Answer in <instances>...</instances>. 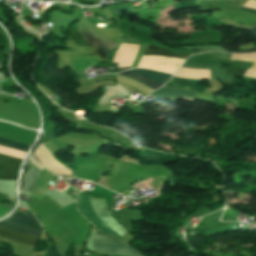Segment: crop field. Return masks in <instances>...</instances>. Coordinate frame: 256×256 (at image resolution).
Returning a JSON list of instances; mask_svg holds the SVG:
<instances>
[{"mask_svg":"<svg viewBox=\"0 0 256 256\" xmlns=\"http://www.w3.org/2000/svg\"><path fill=\"white\" fill-rule=\"evenodd\" d=\"M6 226L21 230L23 232L41 236L43 233L42 227L37 219L32 215L31 212L25 214L14 211L11 217L0 222ZM0 224V236L21 244L36 246L39 237H35L21 231L6 227Z\"/></svg>","mask_w":256,"mask_h":256,"instance_id":"8a807250","label":"crop field"},{"mask_svg":"<svg viewBox=\"0 0 256 256\" xmlns=\"http://www.w3.org/2000/svg\"><path fill=\"white\" fill-rule=\"evenodd\" d=\"M77 191V190H76ZM89 203L98 216V218L113 232L123 237L127 232L122 226H120L115 220L111 218L109 215L105 200L104 199H94L89 197ZM88 203V196L77 191V208L78 211L84 215L95 227H97L100 231L113 235L118 240L121 238L115 233H113L109 228H107L94 214L91 210Z\"/></svg>","mask_w":256,"mask_h":256,"instance_id":"ac0d7876","label":"crop field"},{"mask_svg":"<svg viewBox=\"0 0 256 256\" xmlns=\"http://www.w3.org/2000/svg\"><path fill=\"white\" fill-rule=\"evenodd\" d=\"M93 249L96 252L122 256H141L132 248L117 242L111 237L96 232L93 240Z\"/></svg>","mask_w":256,"mask_h":256,"instance_id":"34b2d1b8","label":"crop field"},{"mask_svg":"<svg viewBox=\"0 0 256 256\" xmlns=\"http://www.w3.org/2000/svg\"><path fill=\"white\" fill-rule=\"evenodd\" d=\"M0 144L24 153L28 148L27 145L11 142L2 138H0ZM20 164L21 161L0 154V179L15 180L16 170Z\"/></svg>","mask_w":256,"mask_h":256,"instance_id":"412701ff","label":"crop field"},{"mask_svg":"<svg viewBox=\"0 0 256 256\" xmlns=\"http://www.w3.org/2000/svg\"><path fill=\"white\" fill-rule=\"evenodd\" d=\"M131 72L137 73L139 75H142L146 78H149L161 85H163L166 81L169 80V78L171 77V75L168 74H162V73H157V72H151L148 70H139V69H133V70H129ZM131 72H124V73H120V75L129 77L131 79L137 80L139 82H142L144 84H146L147 86L151 87L152 89L156 90L158 87H160L161 85L146 79L142 76H139L137 74L131 73Z\"/></svg>","mask_w":256,"mask_h":256,"instance_id":"f4fd0767","label":"crop field"},{"mask_svg":"<svg viewBox=\"0 0 256 256\" xmlns=\"http://www.w3.org/2000/svg\"><path fill=\"white\" fill-rule=\"evenodd\" d=\"M151 95H155L158 97H162V98H166L174 101H176L177 98L194 101L195 93L174 89V88L162 87L157 91L153 92Z\"/></svg>","mask_w":256,"mask_h":256,"instance_id":"dd49c442","label":"crop field"},{"mask_svg":"<svg viewBox=\"0 0 256 256\" xmlns=\"http://www.w3.org/2000/svg\"><path fill=\"white\" fill-rule=\"evenodd\" d=\"M199 82L200 80H191V79L172 77L171 80L166 85L202 93L204 88L199 87L198 85Z\"/></svg>","mask_w":256,"mask_h":256,"instance_id":"e52e79f7","label":"crop field"},{"mask_svg":"<svg viewBox=\"0 0 256 256\" xmlns=\"http://www.w3.org/2000/svg\"><path fill=\"white\" fill-rule=\"evenodd\" d=\"M32 163H34L35 165L43 168L42 166H40L39 164H37L36 162H34L33 160L31 161ZM33 164H30V168H29V172L26 176L25 182H24V186H23V190L22 191H26V192H30L41 172V168L35 166Z\"/></svg>","mask_w":256,"mask_h":256,"instance_id":"d8731c3e","label":"crop field"},{"mask_svg":"<svg viewBox=\"0 0 256 256\" xmlns=\"http://www.w3.org/2000/svg\"><path fill=\"white\" fill-rule=\"evenodd\" d=\"M144 55L168 56V57H176V58H182V59H185L188 56L186 54L169 52L164 49L157 48V47L150 46V45H148Z\"/></svg>","mask_w":256,"mask_h":256,"instance_id":"5a996713","label":"crop field"},{"mask_svg":"<svg viewBox=\"0 0 256 256\" xmlns=\"http://www.w3.org/2000/svg\"><path fill=\"white\" fill-rule=\"evenodd\" d=\"M52 245H50V247H49L47 253L45 254V256H61L59 254L58 250Z\"/></svg>","mask_w":256,"mask_h":256,"instance_id":"3316defc","label":"crop field"},{"mask_svg":"<svg viewBox=\"0 0 256 256\" xmlns=\"http://www.w3.org/2000/svg\"><path fill=\"white\" fill-rule=\"evenodd\" d=\"M242 6L256 9V0H248Z\"/></svg>","mask_w":256,"mask_h":256,"instance_id":"28ad6ade","label":"crop field"},{"mask_svg":"<svg viewBox=\"0 0 256 256\" xmlns=\"http://www.w3.org/2000/svg\"><path fill=\"white\" fill-rule=\"evenodd\" d=\"M252 35L253 37L256 39V27H253L251 29L248 30Z\"/></svg>","mask_w":256,"mask_h":256,"instance_id":"d1516ede","label":"crop field"},{"mask_svg":"<svg viewBox=\"0 0 256 256\" xmlns=\"http://www.w3.org/2000/svg\"><path fill=\"white\" fill-rule=\"evenodd\" d=\"M240 9H241V10H247V11L256 13V10H253V9L243 8V7H241Z\"/></svg>","mask_w":256,"mask_h":256,"instance_id":"22f410ed","label":"crop field"},{"mask_svg":"<svg viewBox=\"0 0 256 256\" xmlns=\"http://www.w3.org/2000/svg\"><path fill=\"white\" fill-rule=\"evenodd\" d=\"M0 64H1V61H0Z\"/></svg>","mask_w":256,"mask_h":256,"instance_id":"cbeb9de0","label":"crop field"}]
</instances>
